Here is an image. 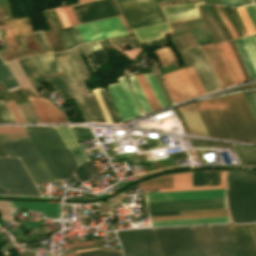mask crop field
I'll return each mask as SVG.
<instances>
[{"label":"crop field","instance_id":"obj_4","mask_svg":"<svg viewBox=\"0 0 256 256\" xmlns=\"http://www.w3.org/2000/svg\"><path fill=\"white\" fill-rule=\"evenodd\" d=\"M66 81L78 103V107L85 121L106 122L102 112L92 94H89L82 78L86 81L71 50L64 53L53 54Z\"/></svg>","mask_w":256,"mask_h":256},{"label":"crop field","instance_id":"obj_22","mask_svg":"<svg viewBox=\"0 0 256 256\" xmlns=\"http://www.w3.org/2000/svg\"><path fill=\"white\" fill-rule=\"evenodd\" d=\"M178 109L192 135L209 137L193 103Z\"/></svg>","mask_w":256,"mask_h":256},{"label":"crop field","instance_id":"obj_7","mask_svg":"<svg viewBox=\"0 0 256 256\" xmlns=\"http://www.w3.org/2000/svg\"><path fill=\"white\" fill-rule=\"evenodd\" d=\"M130 29L166 21L156 0H116Z\"/></svg>","mask_w":256,"mask_h":256},{"label":"crop field","instance_id":"obj_53","mask_svg":"<svg viewBox=\"0 0 256 256\" xmlns=\"http://www.w3.org/2000/svg\"><path fill=\"white\" fill-rule=\"evenodd\" d=\"M207 185H220V172H207Z\"/></svg>","mask_w":256,"mask_h":256},{"label":"crop field","instance_id":"obj_24","mask_svg":"<svg viewBox=\"0 0 256 256\" xmlns=\"http://www.w3.org/2000/svg\"><path fill=\"white\" fill-rule=\"evenodd\" d=\"M169 31L171 29L167 22L132 29L133 34L140 43L162 38L161 34Z\"/></svg>","mask_w":256,"mask_h":256},{"label":"crop field","instance_id":"obj_27","mask_svg":"<svg viewBox=\"0 0 256 256\" xmlns=\"http://www.w3.org/2000/svg\"><path fill=\"white\" fill-rule=\"evenodd\" d=\"M108 90L113 99V102L122 118L123 121L133 118V114L126 101V98L118 83L108 85Z\"/></svg>","mask_w":256,"mask_h":256},{"label":"crop field","instance_id":"obj_61","mask_svg":"<svg viewBox=\"0 0 256 256\" xmlns=\"http://www.w3.org/2000/svg\"><path fill=\"white\" fill-rule=\"evenodd\" d=\"M84 167L87 169L92 178L99 177V175L97 174L93 166L90 164V162L84 164Z\"/></svg>","mask_w":256,"mask_h":256},{"label":"crop field","instance_id":"obj_41","mask_svg":"<svg viewBox=\"0 0 256 256\" xmlns=\"http://www.w3.org/2000/svg\"><path fill=\"white\" fill-rule=\"evenodd\" d=\"M130 79H131L133 91L135 93V96H136V99L138 101L140 108L146 112H151V109H150L144 95L142 94L134 76H131Z\"/></svg>","mask_w":256,"mask_h":256},{"label":"crop field","instance_id":"obj_29","mask_svg":"<svg viewBox=\"0 0 256 256\" xmlns=\"http://www.w3.org/2000/svg\"><path fill=\"white\" fill-rule=\"evenodd\" d=\"M57 32H58L66 50H68L78 44L83 43V40H82L76 26L57 29Z\"/></svg>","mask_w":256,"mask_h":256},{"label":"crop field","instance_id":"obj_63","mask_svg":"<svg viewBox=\"0 0 256 256\" xmlns=\"http://www.w3.org/2000/svg\"><path fill=\"white\" fill-rule=\"evenodd\" d=\"M18 223H22V224L26 225L29 229H31L33 227H36V226H39V225L43 224L44 221H42V222L27 221V222H18Z\"/></svg>","mask_w":256,"mask_h":256},{"label":"crop field","instance_id":"obj_15","mask_svg":"<svg viewBox=\"0 0 256 256\" xmlns=\"http://www.w3.org/2000/svg\"><path fill=\"white\" fill-rule=\"evenodd\" d=\"M224 197V189L144 194L145 202Z\"/></svg>","mask_w":256,"mask_h":256},{"label":"crop field","instance_id":"obj_11","mask_svg":"<svg viewBox=\"0 0 256 256\" xmlns=\"http://www.w3.org/2000/svg\"><path fill=\"white\" fill-rule=\"evenodd\" d=\"M226 207L224 198L145 203L146 212Z\"/></svg>","mask_w":256,"mask_h":256},{"label":"crop field","instance_id":"obj_21","mask_svg":"<svg viewBox=\"0 0 256 256\" xmlns=\"http://www.w3.org/2000/svg\"><path fill=\"white\" fill-rule=\"evenodd\" d=\"M202 256H220L210 226L192 227Z\"/></svg>","mask_w":256,"mask_h":256},{"label":"crop field","instance_id":"obj_5","mask_svg":"<svg viewBox=\"0 0 256 256\" xmlns=\"http://www.w3.org/2000/svg\"><path fill=\"white\" fill-rule=\"evenodd\" d=\"M154 230L164 256H201L191 227Z\"/></svg>","mask_w":256,"mask_h":256},{"label":"crop field","instance_id":"obj_20","mask_svg":"<svg viewBox=\"0 0 256 256\" xmlns=\"http://www.w3.org/2000/svg\"><path fill=\"white\" fill-rule=\"evenodd\" d=\"M221 256H238L227 225H210Z\"/></svg>","mask_w":256,"mask_h":256},{"label":"crop field","instance_id":"obj_68","mask_svg":"<svg viewBox=\"0 0 256 256\" xmlns=\"http://www.w3.org/2000/svg\"><path fill=\"white\" fill-rule=\"evenodd\" d=\"M254 36V38H255V40H256V34L255 35H253Z\"/></svg>","mask_w":256,"mask_h":256},{"label":"crop field","instance_id":"obj_13","mask_svg":"<svg viewBox=\"0 0 256 256\" xmlns=\"http://www.w3.org/2000/svg\"><path fill=\"white\" fill-rule=\"evenodd\" d=\"M190 59L192 66L197 74L204 92H209L218 89V85L209 68L205 56L200 47L191 48L185 51Z\"/></svg>","mask_w":256,"mask_h":256},{"label":"crop field","instance_id":"obj_52","mask_svg":"<svg viewBox=\"0 0 256 256\" xmlns=\"http://www.w3.org/2000/svg\"><path fill=\"white\" fill-rule=\"evenodd\" d=\"M93 93H94V95H95V97H96V99H97V101H98V103L100 105V108H101V110H102V112L104 114V117H105L106 121L110 122V123H113L111 118H110V116H109V114H108V111H107V109H106V107H105V105H104V103L102 101V98H101L98 90L97 89L93 90Z\"/></svg>","mask_w":256,"mask_h":256},{"label":"crop field","instance_id":"obj_31","mask_svg":"<svg viewBox=\"0 0 256 256\" xmlns=\"http://www.w3.org/2000/svg\"><path fill=\"white\" fill-rule=\"evenodd\" d=\"M135 78H136L142 92L144 93L152 111L160 108V105H159L150 85L148 84L145 77L143 76V74L140 73L138 75H135Z\"/></svg>","mask_w":256,"mask_h":256},{"label":"crop field","instance_id":"obj_47","mask_svg":"<svg viewBox=\"0 0 256 256\" xmlns=\"http://www.w3.org/2000/svg\"><path fill=\"white\" fill-rule=\"evenodd\" d=\"M236 11L245 25L247 34L250 35V34L256 33L244 8L243 7L236 8Z\"/></svg>","mask_w":256,"mask_h":256},{"label":"crop field","instance_id":"obj_62","mask_svg":"<svg viewBox=\"0 0 256 256\" xmlns=\"http://www.w3.org/2000/svg\"><path fill=\"white\" fill-rule=\"evenodd\" d=\"M224 5H229V6H237V5H242L243 1L242 0H222Z\"/></svg>","mask_w":256,"mask_h":256},{"label":"crop field","instance_id":"obj_1","mask_svg":"<svg viewBox=\"0 0 256 256\" xmlns=\"http://www.w3.org/2000/svg\"><path fill=\"white\" fill-rule=\"evenodd\" d=\"M194 104L210 137L256 143V121L242 93Z\"/></svg>","mask_w":256,"mask_h":256},{"label":"crop field","instance_id":"obj_43","mask_svg":"<svg viewBox=\"0 0 256 256\" xmlns=\"http://www.w3.org/2000/svg\"><path fill=\"white\" fill-rule=\"evenodd\" d=\"M256 70V42L252 35L241 38Z\"/></svg>","mask_w":256,"mask_h":256},{"label":"crop field","instance_id":"obj_34","mask_svg":"<svg viewBox=\"0 0 256 256\" xmlns=\"http://www.w3.org/2000/svg\"><path fill=\"white\" fill-rule=\"evenodd\" d=\"M20 65V64H19ZM17 61L14 62H10V63H6V66L9 68V70L11 71V73L14 75V77L16 78V80L18 81V83L21 85L22 88H29L31 89L35 94H37V92L35 91V89L33 88V86L30 84V82L28 81V79L25 77V73L23 74L22 70H21V66L19 67ZM38 95V94H37Z\"/></svg>","mask_w":256,"mask_h":256},{"label":"crop field","instance_id":"obj_35","mask_svg":"<svg viewBox=\"0 0 256 256\" xmlns=\"http://www.w3.org/2000/svg\"><path fill=\"white\" fill-rule=\"evenodd\" d=\"M172 39L174 40L175 44L177 45L178 49L180 50L185 64H189L190 62L187 59V57L185 56L183 50L190 48L193 45H196V42L194 41V39L191 37L189 32H187L179 37H174Z\"/></svg>","mask_w":256,"mask_h":256},{"label":"crop field","instance_id":"obj_60","mask_svg":"<svg viewBox=\"0 0 256 256\" xmlns=\"http://www.w3.org/2000/svg\"><path fill=\"white\" fill-rule=\"evenodd\" d=\"M71 129L74 132L75 136L91 132L88 128L82 127H71Z\"/></svg>","mask_w":256,"mask_h":256},{"label":"crop field","instance_id":"obj_3","mask_svg":"<svg viewBox=\"0 0 256 256\" xmlns=\"http://www.w3.org/2000/svg\"><path fill=\"white\" fill-rule=\"evenodd\" d=\"M0 141L9 156L21 158L36 185L53 181L23 127H0Z\"/></svg>","mask_w":256,"mask_h":256},{"label":"crop field","instance_id":"obj_64","mask_svg":"<svg viewBox=\"0 0 256 256\" xmlns=\"http://www.w3.org/2000/svg\"><path fill=\"white\" fill-rule=\"evenodd\" d=\"M181 214L180 211L150 213V216Z\"/></svg>","mask_w":256,"mask_h":256},{"label":"crop field","instance_id":"obj_14","mask_svg":"<svg viewBox=\"0 0 256 256\" xmlns=\"http://www.w3.org/2000/svg\"><path fill=\"white\" fill-rule=\"evenodd\" d=\"M228 226L239 256H256V230L254 225Z\"/></svg>","mask_w":256,"mask_h":256},{"label":"crop field","instance_id":"obj_18","mask_svg":"<svg viewBox=\"0 0 256 256\" xmlns=\"http://www.w3.org/2000/svg\"><path fill=\"white\" fill-rule=\"evenodd\" d=\"M28 100L40 122H67L63 113L48 99L42 97H30Z\"/></svg>","mask_w":256,"mask_h":256},{"label":"crop field","instance_id":"obj_40","mask_svg":"<svg viewBox=\"0 0 256 256\" xmlns=\"http://www.w3.org/2000/svg\"><path fill=\"white\" fill-rule=\"evenodd\" d=\"M118 80H119L120 86H121L128 102L130 104V107L132 109V112H133L134 116H137V115L141 114L139 112L138 106H137V104H136V102H135V100L132 96V93H131L126 81L124 80L123 76L118 78Z\"/></svg>","mask_w":256,"mask_h":256},{"label":"crop field","instance_id":"obj_17","mask_svg":"<svg viewBox=\"0 0 256 256\" xmlns=\"http://www.w3.org/2000/svg\"><path fill=\"white\" fill-rule=\"evenodd\" d=\"M219 87L233 85V81L215 45L201 47Z\"/></svg>","mask_w":256,"mask_h":256},{"label":"crop field","instance_id":"obj_46","mask_svg":"<svg viewBox=\"0 0 256 256\" xmlns=\"http://www.w3.org/2000/svg\"><path fill=\"white\" fill-rule=\"evenodd\" d=\"M6 107L15 122H26L18 106L14 101L5 103Z\"/></svg>","mask_w":256,"mask_h":256},{"label":"crop field","instance_id":"obj_58","mask_svg":"<svg viewBox=\"0 0 256 256\" xmlns=\"http://www.w3.org/2000/svg\"><path fill=\"white\" fill-rule=\"evenodd\" d=\"M63 10H64L66 16L68 17L71 25L78 24V21H77V19H76V17H75V15H74L70 6L64 7Z\"/></svg>","mask_w":256,"mask_h":256},{"label":"crop field","instance_id":"obj_10","mask_svg":"<svg viewBox=\"0 0 256 256\" xmlns=\"http://www.w3.org/2000/svg\"><path fill=\"white\" fill-rule=\"evenodd\" d=\"M84 42L127 35L119 17L77 25Z\"/></svg>","mask_w":256,"mask_h":256},{"label":"crop field","instance_id":"obj_70","mask_svg":"<svg viewBox=\"0 0 256 256\" xmlns=\"http://www.w3.org/2000/svg\"><path fill=\"white\" fill-rule=\"evenodd\" d=\"M160 1H164V0H158V2H160Z\"/></svg>","mask_w":256,"mask_h":256},{"label":"crop field","instance_id":"obj_2","mask_svg":"<svg viewBox=\"0 0 256 256\" xmlns=\"http://www.w3.org/2000/svg\"><path fill=\"white\" fill-rule=\"evenodd\" d=\"M53 179L70 177L76 166L54 127H24Z\"/></svg>","mask_w":256,"mask_h":256},{"label":"crop field","instance_id":"obj_28","mask_svg":"<svg viewBox=\"0 0 256 256\" xmlns=\"http://www.w3.org/2000/svg\"><path fill=\"white\" fill-rule=\"evenodd\" d=\"M228 217L151 221L152 226H169L197 223L228 222Z\"/></svg>","mask_w":256,"mask_h":256},{"label":"crop field","instance_id":"obj_25","mask_svg":"<svg viewBox=\"0 0 256 256\" xmlns=\"http://www.w3.org/2000/svg\"><path fill=\"white\" fill-rule=\"evenodd\" d=\"M216 46L226 64V67H227L234 83L236 84L241 81H244L245 79L239 69V66L233 56V53H232L228 43L225 42V43L217 44Z\"/></svg>","mask_w":256,"mask_h":256},{"label":"crop field","instance_id":"obj_44","mask_svg":"<svg viewBox=\"0 0 256 256\" xmlns=\"http://www.w3.org/2000/svg\"><path fill=\"white\" fill-rule=\"evenodd\" d=\"M228 216L227 213L150 217L151 220Z\"/></svg>","mask_w":256,"mask_h":256},{"label":"crop field","instance_id":"obj_32","mask_svg":"<svg viewBox=\"0 0 256 256\" xmlns=\"http://www.w3.org/2000/svg\"><path fill=\"white\" fill-rule=\"evenodd\" d=\"M233 144L243 165H256V147Z\"/></svg>","mask_w":256,"mask_h":256},{"label":"crop field","instance_id":"obj_6","mask_svg":"<svg viewBox=\"0 0 256 256\" xmlns=\"http://www.w3.org/2000/svg\"><path fill=\"white\" fill-rule=\"evenodd\" d=\"M0 194L39 195L18 158L0 157Z\"/></svg>","mask_w":256,"mask_h":256},{"label":"crop field","instance_id":"obj_9","mask_svg":"<svg viewBox=\"0 0 256 256\" xmlns=\"http://www.w3.org/2000/svg\"><path fill=\"white\" fill-rule=\"evenodd\" d=\"M162 78L175 103L204 93L191 65L163 74Z\"/></svg>","mask_w":256,"mask_h":256},{"label":"crop field","instance_id":"obj_66","mask_svg":"<svg viewBox=\"0 0 256 256\" xmlns=\"http://www.w3.org/2000/svg\"><path fill=\"white\" fill-rule=\"evenodd\" d=\"M119 17H120V19H121L123 25L125 26V28H126L128 34H131L130 31H129V29H128V27H127V25H126V23H125V21H124V19H123V17H121V16H119Z\"/></svg>","mask_w":256,"mask_h":256},{"label":"crop field","instance_id":"obj_71","mask_svg":"<svg viewBox=\"0 0 256 256\" xmlns=\"http://www.w3.org/2000/svg\"><path fill=\"white\" fill-rule=\"evenodd\" d=\"M255 225V227H256V224H254Z\"/></svg>","mask_w":256,"mask_h":256},{"label":"crop field","instance_id":"obj_8","mask_svg":"<svg viewBox=\"0 0 256 256\" xmlns=\"http://www.w3.org/2000/svg\"><path fill=\"white\" fill-rule=\"evenodd\" d=\"M125 256H163L153 229L117 232Z\"/></svg>","mask_w":256,"mask_h":256},{"label":"crop field","instance_id":"obj_12","mask_svg":"<svg viewBox=\"0 0 256 256\" xmlns=\"http://www.w3.org/2000/svg\"><path fill=\"white\" fill-rule=\"evenodd\" d=\"M72 8L80 23L121 14L113 0H100Z\"/></svg>","mask_w":256,"mask_h":256},{"label":"crop field","instance_id":"obj_65","mask_svg":"<svg viewBox=\"0 0 256 256\" xmlns=\"http://www.w3.org/2000/svg\"><path fill=\"white\" fill-rule=\"evenodd\" d=\"M253 178H254L255 203H256V172H253Z\"/></svg>","mask_w":256,"mask_h":256},{"label":"crop field","instance_id":"obj_26","mask_svg":"<svg viewBox=\"0 0 256 256\" xmlns=\"http://www.w3.org/2000/svg\"><path fill=\"white\" fill-rule=\"evenodd\" d=\"M192 173L173 175V189H158L159 192L224 188V172H221V186L191 187Z\"/></svg>","mask_w":256,"mask_h":256},{"label":"crop field","instance_id":"obj_39","mask_svg":"<svg viewBox=\"0 0 256 256\" xmlns=\"http://www.w3.org/2000/svg\"><path fill=\"white\" fill-rule=\"evenodd\" d=\"M159 57L161 65H167L173 63L174 65H178V61L175 58V55L169 49V47L160 48L154 51Z\"/></svg>","mask_w":256,"mask_h":256},{"label":"crop field","instance_id":"obj_69","mask_svg":"<svg viewBox=\"0 0 256 256\" xmlns=\"http://www.w3.org/2000/svg\"><path fill=\"white\" fill-rule=\"evenodd\" d=\"M253 84H254V86L256 87V82H254Z\"/></svg>","mask_w":256,"mask_h":256},{"label":"crop field","instance_id":"obj_50","mask_svg":"<svg viewBox=\"0 0 256 256\" xmlns=\"http://www.w3.org/2000/svg\"><path fill=\"white\" fill-rule=\"evenodd\" d=\"M192 186H206V172H194Z\"/></svg>","mask_w":256,"mask_h":256},{"label":"crop field","instance_id":"obj_16","mask_svg":"<svg viewBox=\"0 0 256 256\" xmlns=\"http://www.w3.org/2000/svg\"><path fill=\"white\" fill-rule=\"evenodd\" d=\"M77 166L89 161L88 156L84 152L83 148L78 141L93 138L92 133L78 136L77 139L71 131L70 127H55Z\"/></svg>","mask_w":256,"mask_h":256},{"label":"crop field","instance_id":"obj_48","mask_svg":"<svg viewBox=\"0 0 256 256\" xmlns=\"http://www.w3.org/2000/svg\"><path fill=\"white\" fill-rule=\"evenodd\" d=\"M143 138H144L146 144L137 146L140 151L162 147L161 146L162 143H161L160 139L147 138V137H143Z\"/></svg>","mask_w":256,"mask_h":256},{"label":"crop field","instance_id":"obj_45","mask_svg":"<svg viewBox=\"0 0 256 256\" xmlns=\"http://www.w3.org/2000/svg\"><path fill=\"white\" fill-rule=\"evenodd\" d=\"M98 90H99V92H100V94H101V96L103 98V101H104V103H105V105H106V107H107V109L109 111V114H110L113 122L114 123H119L120 120H119V118H118V116H117V114H116V112H115V110H114L110 100H109L107 92L105 91V89H101V88H98Z\"/></svg>","mask_w":256,"mask_h":256},{"label":"crop field","instance_id":"obj_55","mask_svg":"<svg viewBox=\"0 0 256 256\" xmlns=\"http://www.w3.org/2000/svg\"><path fill=\"white\" fill-rule=\"evenodd\" d=\"M216 10L219 14V16L221 17V19L223 20V22L225 23V25L227 26L228 30L230 31V33L232 34L233 38H236L237 35L233 29V27L231 26V24L229 23V21L227 20V18L224 16V14L221 11V7L220 6H215Z\"/></svg>","mask_w":256,"mask_h":256},{"label":"crop field","instance_id":"obj_54","mask_svg":"<svg viewBox=\"0 0 256 256\" xmlns=\"http://www.w3.org/2000/svg\"><path fill=\"white\" fill-rule=\"evenodd\" d=\"M182 214L227 212L226 208L181 211Z\"/></svg>","mask_w":256,"mask_h":256},{"label":"crop field","instance_id":"obj_33","mask_svg":"<svg viewBox=\"0 0 256 256\" xmlns=\"http://www.w3.org/2000/svg\"><path fill=\"white\" fill-rule=\"evenodd\" d=\"M141 189L149 188H172V174L160 176L141 184H138Z\"/></svg>","mask_w":256,"mask_h":256},{"label":"crop field","instance_id":"obj_36","mask_svg":"<svg viewBox=\"0 0 256 256\" xmlns=\"http://www.w3.org/2000/svg\"><path fill=\"white\" fill-rule=\"evenodd\" d=\"M233 41H234V43H235V45L237 47V50H238V52H239V54H240V56L242 58V61H243L244 65H245V67H246V70H247L250 78L251 79L256 78V72H255V70L253 68V65H252V63H251V61L249 59V56H248V54H247V52H246V50L244 48V45H243L241 39L238 38V39H234Z\"/></svg>","mask_w":256,"mask_h":256},{"label":"crop field","instance_id":"obj_37","mask_svg":"<svg viewBox=\"0 0 256 256\" xmlns=\"http://www.w3.org/2000/svg\"><path fill=\"white\" fill-rule=\"evenodd\" d=\"M1 83H4L8 90L20 87L5 64L0 60V84Z\"/></svg>","mask_w":256,"mask_h":256},{"label":"crop field","instance_id":"obj_57","mask_svg":"<svg viewBox=\"0 0 256 256\" xmlns=\"http://www.w3.org/2000/svg\"><path fill=\"white\" fill-rule=\"evenodd\" d=\"M80 182L91 179V176L88 174L86 169L82 166L76 168L75 170Z\"/></svg>","mask_w":256,"mask_h":256},{"label":"crop field","instance_id":"obj_59","mask_svg":"<svg viewBox=\"0 0 256 256\" xmlns=\"http://www.w3.org/2000/svg\"><path fill=\"white\" fill-rule=\"evenodd\" d=\"M255 29H256V12H255V8L254 5H248V6H244Z\"/></svg>","mask_w":256,"mask_h":256},{"label":"crop field","instance_id":"obj_19","mask_svg":"<svg viewBox=\"0 0 256 256\" xmlns=\"http://www.w3.org/2000/svg\"><path fill=\"white\" fill-rule=\"evenodd\" d=\"M203 3L202 0L179 3L161 7L169 22L200 17L196 4Z\"/></svg>","mask_w":256,"mask_h":256},{"label":"crop field","instance_id":"obj_42","mask_svg":"<svg viewBox=\"0 0 256 256\" xmlns=\"http://www.w3.org/2000/svg\"><path fill=\"white\" fill-rule=\"evenodd\" d=\"M145 76H146L149 84L151 85V87H152V89H153V91H154V93H155V95H156V97H157L161 107L167 106L168 104H167V102H166V100H165V98H164V96L162 94V91H161V89H160V87H159V85H158V83H157L153 73L145 74Z\"/></svg>","mask_w":256,"mask_h":256},{"label":"crop field","instance_id":"obj_38","mask_svg":"<svg viewBox=\"0 0 256 256\" xmlns=\"http://www.w3.org/2000/svg\"><path fill=\"white\" fill-rule=\"evenodd\" d=\"M87 46L92 54V57H93V60L96 64V66L98 67V66L104 64L106 57H105V53L100 45V42L96 41V42L88 43Z\"/></svg>","mask_w":256,"mask_h":256},{"label":"crop field","instance_id":"obj_56","mask_svg":"<svg viewBox=\"0 0 256 256\" xmlns=\"http://www.w3.org/2000/svg\"><path fill=\"white\" fill-rule=\"evenodd\" d=\"M0 122H13L6 110L3 101H0Z\"/></svg>","mask_w":256,"mask_h":256},{"label":"crop field","instance_id":"obj_30","mask_svg":"<svg viewBox=\"0 0 256 256\" xmlns=\"http://www.w3.org/2000/svg\"><path fill=\"white\" fill-rule=\"evenodd\" d=\"M40 75L59 72L60 69L52 54L32 57Z\"/></svg>","mask_w":256,"mask_h":256},{"label":"crop field","instance_id":"obj_67","mask_svg":"<svg viewBox=\"0 0 256 256\" xmlns=\"http://www.w3.org/2000/svg\"><path fill=\"white\" fill-rule=\"evenodd\" d=\"M84 1H88V0H80V2H84Z\"/></svg>","mask_w":256,"mask_h":256},{"label":"crop field","instance_id":"obj_23","mask_svg":"<svg viewBox=\"0 0 256 256\" xmlns=\"http://www.w3.org/2000/svg\"><path fill=\"white\" fill-rule=\"evenodd\" d=\"M11 207L22 208L41 212L45 217L59 218L60 205L59 203H44V202H10Z\"/></svg>","mask_w":256,"mask_h":256},{"label":"crop field","instance_id":"obj_51","mask_svg":"<svg viewBox=\"0 0 256 256\" xmlns=\"http://www.w3.org/2000/svg\"><path fill=\"white\" fill-rule=\"evenodd\" d=\"M256 119V91L243 93Z\"/></svg>","mask_w":256,"mask_h":256},{"label":"crop field","instance_id":"obj_49","mask_svg":"<svg viewBox=\"0 0 256 256\" xmlns=\"http://www.w3.org/2000/svg\"><path fill=\"white\" fill-rule=\"evenodd\" d=\"M77 256H122V254L118 252L96 250L85 253H79L77 254Z\"/></svg>","mask_w":256,"mask_h":256}]
</instances>
